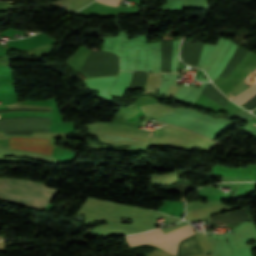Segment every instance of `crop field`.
<instances>
[{
  "label": "crop field",
  "mask_w": 256,
  "mask_h": 256,
  "mask_svg": "<svg viewBox=\"0 0 256 256\" xmlns=\"http://www.w3.org/2000/svg\"><path fill=\"white\" fill-rule=\"evenodd\" d=\"M58 191L44 184L18 178L0 179V197L34 208L43 209Z\"/></svg>",
  "instance_id": "1"
},
{
  "label": "crop field",
  "mask_w": 256,
  "mask_h": 256,
  "mask_svg": "<svg viewBox=\"0 0 256 256\" xmlns=\"http://www.w3.org/2000/svg\"><path fill=\"white\" fill-rule=\"evenodd\" d=\"M191 230L193 228L187 225L166 234L161 229H158L126 237L131 247L138 246L142 243H150L175 255L178 242L195 234Z\"/></svg>",
  "instance_id": "2"
},
{
  "label": "crop field",
  "mask_w": 256,
  "mask_h": 256,
  "mask_svg": "<svg viewBox=\"0 0 256 256\" xmlns=\"http://www.w3.org/2000/svg\"><path fill=\"white\" fill-rule=\"evenodd\" d=\"M10 146L12 148H19L25 150H31L43 154L52 155L55 141L52 139L42 138H24L14 137L9 138Z\"/></svg>",
  "instance_id": "3"
},
{
  "label": "crop field",
  "mask_w": 256,
  "mask_h": 256,
  "mask_svg": "<svg viewBox=\"0 0 256 256\" xmlns=\"http://www.w3.org/2000/svg\"><path fill=\"white\" fill-rule=\"evenodd\" d=\"M256 94V85L252 87L251 89L247 90L246 92L242 93L241 95L237 96L233 100L237 102L238 104L242 105L247 100H249L251 97H253Z\"/></svg>",
  "instance_id": "4"
},
{
  "label": "crop field",
  "mask_w": 256,
  "mask_h": 256,
  "mask_svg": "<svg viewBox=\"0 0 256 256\" xmlns=\"http://www.w3.org/2000/svg\"><path fill=\"white\" fill-rule=\"evenodd\" d=\"M10 106V105H9Z\"/></svg>",
  "instance_id": "5"
}]
</instances>
